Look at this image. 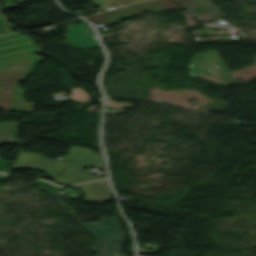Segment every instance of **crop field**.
I'll list each match as a JSON object with an SVG mask.
<instances>
[{
    "instance_id": "ac0d7876",
    "label": "crop field",
    "mask_w": 256,
    "mask_h": 256,
    "mask_svg": "<svg viewBox=\"0 0 256 256\" xmlns=\"http://www.w3.org/2000/svg\"><path fill=\"white\" fill-rule=\"evenodd\" d=\"M82 227L96 237L91 249L95 256H123L118 250L124 234L118 230L114 217L103 218L99 223H83Z\"/></svg>"
},
{
    "instance_id": "dd49c442",
    "label": "crop field",
    "mask_w": 256,
    "mask_h": 256,
    "mask_svg": "<svg viewBox=\"0 0 256 256\" xmlns=\"http://www.w3.org/2000/svg\"><path fill=\"white\" fill-rule=\"evenodd\" d=\"M176 7L179 6H177L171 0H153L141 4L125 6L114 10L98 13L95 15L87 16L85 18L90 19L93 23H114L124 17L140 14L144 11L159 12Z\"/></svg>"
},
{
    "instance_id": "412701ff",
    "label": "crop field",
    "mask_w": 256,
    "mask_h": 256,
    "mask_svg": "<svg viewBox=\"0 0 256 256\" xmlns=\"http://www.w3.org/2000/svg\"><path fill=\"white\" fill-rule=\"evenodd\" d=\"M36 51L38 46L33 41L0 49V75L30 73L38 62L26 57Z\"/></svg>"
},
{
    "instance_id": "5a996713",
    "label": "crop field",
    "mask_w": 256,
    "mask_h": 256,
    "mask_svg": "<svg viewBox=\"0 0 256 256\" xmlns=\"http://www.w3.org/2000/svg\"><path fill=\"white\" fill-rule=\"evenodd\" d=\"M7 21L0 13V48L30 41L27 35H20L7 30L6 28L11 25Z\"/></svg>"
},
{
    "instance_id": "8a807250",
    "label": "crop field",
    "mask_w": 256,
    "mask_h": 256,
    "mask_svg": "<svg viewBox=\"0 0 256 256\" xmlns=\"http://www.w3.org/2000/svg\"><path fill=\"white\" fill-rule=\"evenodd\" d=\"M63 159L74 161H51L43 156L21 152L12 167H36L50 173L58 182L72 184L102 177L91 175L94 172L83 170L87 165L103 168L101 155L86 148L71 146L70 153Z\"/></svg>"
},
{
    "instance_id": "d1516ede",
    "label": "crop field",
    "mask_w": 256,
    "mask_h": 256,
    "mask_svg": "<svg viewBox=\"0 0 256 256\" xmlns=\"http://www.w3.org/2000/svg\"><path fill=\"white\" fill-rule=\"evenodd\" d=\"M36 184L40 185L39 190L46 191L48 194H51V195H53L57 190L60 189V188L54 187V186L50 185L49 183L41 181V180L37 181Z\"/></svg>"
},
{
    "instance_id": "28ad6ade",
    "label": "crop field",
    "mask_w": 256,
    "mask_h": 256,
    "mask_svg": "<svg viewBox=\"0 0 256 256\" xmlns=\"http://www.w3.org/2000/svg\"><path fill=\"white\" fill-rule=\"evenodd\" d=\"M92 1L95 4H97L102 10H107L112 7L137 3L144 0H92Z\"/></svg>"
},
{
    "instance_id": "cbeb9de0",
    "label": "crop field",
    "mask_w": 256,
    "mask_h": 256,
    "mask_svg": "<svg viewBox=\"0 0 256 256\" xmlns=\"http://www.w3.org/2000/svg\"><path fill=\"white\" fill-rule=\"evenodd\" d=\"M9 176L0 174V181L6 180Z\"/></svg>"
},
{
    "instance_id": "e52e79f7",
    "label": "crop field",
    "mask_w": 256,
    "mask_h": 256,
    "mask_svg": "<svg viewBox=\"0 0 256 256\" xmlns=\"http://www.w3.org/2000/svg\"><path fill=\"white\" fill-rule=\"evenodd\" d=\"M68 41L75 48L98 47L90 25L67 26ZM100 47V46H99Z\"/></svg>"
},
{
    "instance_id": "f4fd0767",
    "label": "crop field",
    "mask_w": 256,
    "mask_h": 256,
    "mask_svg": "<svg viewBox=\"0 0 256 256\" xmlns=\"http://www.w3.org/2000/svg\"><path fill=\"white\" fill-rule=\"evenodd\" d=\"M29 74L0 76V109L33 112L35 103L24 102L25 91L18 88Z\"/></svg>"
},
{
    "instance_id": "d8731c3e",
    "label": "crop field",
    "mask_w": 256,
    "mask_h": 256,
    "mask_svg": "<svg viewBox=\"0 0 256 256\" xmlns=\"http://www.w3.org/2000/svg\"><path fill=\"white\" fill-rule=\"evenodd\" d=\"M83 190L84 197L87 200H94L100 202L110 201V190L106 180L86 183L74 186Z\"/></svg>"
},
{
    "instance_id": "34b2d1b8",
    "label": "crop field",
    "mask_w": 256,
    "mask_h": 256,
    "mask_svg": "<svg viewBox=\"0 0 256 256\" xmlns=\"http://www.w3.org/2000/svg\"><path fill=\"white\" fill-rule=\"evenodd\" d=\"M191 74L194 77H203L217 82L220 87L234 84L216 50L196 52L191 59Z\"/></svg>"
},
{
    "instance_id": "22f410ed",
    "label": "crop field",
    "mask_w": 256,
    "mask_h": 256,
    "mask_svg": "<svg viewBox=\"0 0 256 256\" xmlns=\"http://www.w3.org/2000/svg\"><path fill=\"white\" fill-rule=\"evenodd\" d=\"M9 162L10 161L3 160V159L0 158V172H6V173L12 172V170L6 169Z\"/></svg>"
},
{
    "instance_id": "3316defc",
    "label": "crop field",
    "mask_w": 256,
    "mask_h": 256,
    "mask_svg": "<svg viewBox=\"0 0 256 256\" xmlns=\"http://www.w3.org/2000/svg\"><path fill=\"white\" fill-rule=\"evenodd\" d=\"M19 124L20 123L0 122V143H21V141L17 137V130Z\"/></svg>"
}]
</instances>
